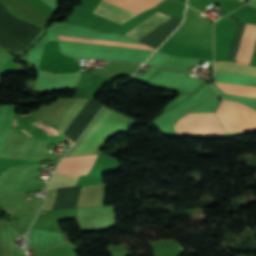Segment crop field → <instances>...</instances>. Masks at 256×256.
I'll return each instance as SVG.
<instances>
[{"instance_id": "8a807250", "label": "crop field", "mask_w": 256, "mask_h": 256, "mask_svg": "<svg viewBox=\"0 0 256 256\" xmlns=\"http://www.w3.org/2000/svg\"><path fill=\"white\" fill-rule=\"evenodd\" d=\"M244 117L250 131H256V112L252 109L236 103ZM235 102L223 100L217 110L218 118L227 133L249 131L243 117L241 116Z\"/></svg>"}, {"instance_id": "ac0d7876", "label": "crop field", "mask_w": 256, "mask_h": 256, "mask_svg": "<svg viewBox=\"0 0 256 256\" xmlns=\"http://www.w3.org/2000/svg\"><path fill=\"white\" fill-rule=\"evenodd\" d=\"M112 112L106 110L105 113L101 116V118L96 122V124L91 128L86 137L82 140L81 143L70 153L71 154H79L81 151L85 149L88 143L92 140L98 130L102 127V125L106 122V120L111 116ZM127 118L113 113L112 116L108 119V121L103 125V127L99 130L87 148L80 154L85 153H93L96 152L97 148L107 136L108 133H117L119 129L126 122ZM109 135V134H108ZM106 139V138H105ZM103 143V142H102Z\"/></svg>"}, {"instance_id": "34b2d1b8", "label": "crop field", "mask_w": 256, "mask_h": 256, "mask_svg": "<svg viewBox=\"0 0 256 256\" xmlns=\"http://www.w3.org/2000/svg\"><path fill=\"white\" fill-rule=\"evenodd\" d=\"M108 2H111L113 4L119 5L121 7L127 8L129 10L135 11L137 13L142 12L143 10H146L147 8H150L152 6H155L158 2H160L161 0H105ZM105 1H101L98 6L96 7V9L94 10V13L101 15L105 18H108L112 21H115L119 24L131 19V17L135 16L137 13L129 11L127 9L121 8L119 6L113 5L111 3L105 2Z\"/></svg>"}, {"instance_id": "412701ff", "label": "crop field", "mask_w": 256, "mask_h": 256, "mask_svg": "<svg viewBox=\"0 0 256 256\" xmlns=\"http://www.w3.org/2000/svg\"><path fill=\"white\" fill-rule=\"evenodd\" d=\"M77 222L82 232L109 229L115 224L113 207L79 209Z\"/></svg>"}, {"instance_id": "f4fd0767", "label": "crop field", "mask_w": 256, "mask_h": 256, "mask_svg": "<svg viewBox=\"0 0 256 256\" xmlns=\"http://www.w3.org/2000/svg\"><path fill=\"white\" fill-rule=\"evenodd\" d=\"M215 71L256 76V67H249V66H245V65H241V64L235 65V64L215 62ZM215 84L224 93L243 95V96H249V97L256 98V88L255 87L240 86V85L218 83V82H215Z\"/></svg>"}, {"instance_id": "dd49c442", "label": "crop field", "mask_w": 256, "mask_h": 256, "mask_svg": "<svg viewBox=\"0 0 256 256\" xmlns=\"http://www.w3.org/2000/svg\"><path fill=\"white\" fill-rule=\"evenodd\" d=\"M256 43V26L246 24L235 59L250 61Z\"/></svg>"}, {"instance_id": "e52e79f7", "label": "crop field", "mask_w": 256, "mask_h": 256, "mask_svg": "<svg viewBox=\"0 0 256 256\" xmlns=\"http://www.w3.org/2000/svg\"><path fill=\"white\" fill-rule=\"evenodd\" d=\"M29 240L42 250H47L64 242L61 233L35 229L30 230Z\"/></svg>"}, {"instance_id": "d8731c3e", "label": "crop field", "mask_w": 256, "mask_h": 256, "mask_svg": "<svg viewBox=\"0 0 256 256\" xmlns=\"http://www.w3.org/2000/svg\"><path fill=\"white\" fill-rule=\"evenodd\" d=\"M169 18L171 17L156 12L126 34L138 40Z\"/></svg>"}, {"instance_id": "5a996713", "label": "crop field", "mask_w": 256, "mask_h": 256, "mask_svg": "<svg viewBox=\"0 0 256 256\" xmlns=\"http://www.w3.org/2000/svg\"><path fill=\"white\" fill-rule=\"evenodd\" d=\"M220 123L216 113L187 114L176 124Z\"/></svg>"}, {"instance_id": "3316defc", "label": "crop field", "mask_w": 256, "mask_h": 256, "mask_svg": "<svg viewBox=\"0 0 256 256\" xmlns=\"http://www.w3.org/2000/svg\"><path fill=\"white\" fill-rule=\"evenodd\" d=\"M78 177L79 176H63L54 173L47 189L73 186L76 184Z\"/></svg>"}, {"instance_id": "28ad6ade", "label": "crop field", "mask_w": 256, "mask_h": 256, "mask_svg": "<svg viewBox=\"0 0 256 256\" xmlns=\"http://www.w3.org/2000/svg\"><path fill=\"white\" fill-rule=\"evenodd\" d=\"M96 158H97V155H89L87 157L79 175H84V174L89 173V171L91 170Z\"/></svg>"}, {"instance_id": "d1516ede", "label": "crop field", "mask_w": 256, "mask_h": 256, "mask_svg": "<svg viewBox=\"0 0 256 256\" xmlns=\"http://www.w3.org/2000/svg\"><path fill=\"white\" fill-rule=\"evenodd\" d=\"M43 181L30 183L25 192L39 190Z\"/></svg>"}]
</instances>
